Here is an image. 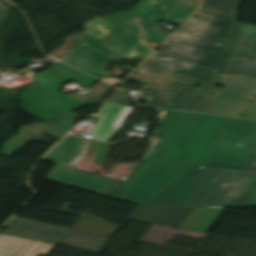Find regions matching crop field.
I'll use <instances>...</instances> for the list:
<instances>
[{
	"label": "crop field",
	"instance_id": "f4fd0767",
	"mask_svg": "<svg viewBox=\"0 0 256 256\" xmlns=\"http://www.w3.org/2000/svg\"><path fill=\"white\" fill-rule=\"evenodd\" d=\"M256 189V171L207 167L185 205L246 206Z\"/></svg>",
	"mask_w": 256,
	"mask_h": 256
},
{
	"label": "crop field",
	"instance_id": "00972430",
	"mask_svg": "<svg viewBox=\"0 0 256 256\" xmlns=\"http://www.w3.org/2000/svg\"><path fill=\"white\" fill-rule=\"evenodd\" d=\"M45 125L46 122L24 125L21 127L19 135L40 140L44 132Z\"/></svg>",
	"mask_w": 256,
	"mask_h": 256
},
{
	"label": "crop field",
	"instance_id": "733c2abd",
	"mask_svg": "<svg viewBox=\"0 0 256 256\" xmlns=\"http://www.w3.org/2000/svg\"><path fill=\"white\" fill-rule=\"evenodd\" d=\"M226 207H196L181 229L208 233Z\"/></svg>",
	"mask_w": 256,
	"mask_h": 256
},
{
	"label": "crop field",
	"instance_id": "412701ff",
	"mask_svg": "<svg viewBox=\"0 0 256 256\" xmlns=\"http://www.w3.org/2000/svg\"><path fill=\"white\" fill-rule=\"evenodd\" d=\"M35 78L37 81L31 83V87L21 92L20 99L23 100V110L42 120L85 105L62 94L59 89L63 83L72 80L85 88H89L98 81L62 63H54L52 69L36 74Z\"/></svg>",
	"mask_w": 256,
	"mask_h": 256
},
{
	"label": "crop field",
	"instance_id": "28ad6ade",
	"mask_svg": "<svg viewBox=\"0 0 256 256\" xmlns=\"http://www.w3.org/2000/svg\"><path fill=\"white\" fill-rule=\"evenodd\" d=\"M194 208L138 206L128 219L179 228Z\"/></svg>",
	"mask_w": 256,
	"mask_h": 256
},
{
	"label": "crop field",
	"instance_id": "bd1437ed",
	"mask_svg": "<svg viewBox=\"0 0 256 256\" xmlns=\"http://www.w3.org/2000/svg\"><path fill=\"white\" fill-rule=\"evenodd\" d=\"M184 1L196 4V5H199V2H200V0H184Z\"/></svg>",
	"mask_w": 256,
	"mask_h": 256
},
{
	"label": "crop field",
	"instance_id": "dafd665d",
	"mask_svg": "<svg viewBox=\"0 0 256 256\" xmlns=\"http://www.w3.org/2000/svg\"><path fill=\"white\" fill-rule=\"evenodd\" d=\"M85 27H86V32L101 39V38L105 37V35L108 34L116 26L97 17V18L85 23Z\"/></svg>",
	"mask_w": 256,
	"mask_h": 256
},
{
	"label": "crop field",
	"instance_id": "ac0d7876",
	"mask_svg": "<svg viewBox=\"0 0 256 256\" xmlns=\"http://www.w3.org/2000/svg\"><path fill=\"white\" fill-rule=\"evenodd\" d=\"M197 8L177 0H142L129 13L121 12L104 20L116 25L105 38L99 40L84 32L76 40L83 44L59 59L99 79L112 74L103 69L105 62L124 53L140 38L161 43L171 33L151 27L156 20L181 24Z\"/></svg>",
	"mask_w": 256,
	"mask_h": 256
},
{
	"label": "crop field",
	"instance_id": "750c4746",
	"mask_svg": "<svg viewBox=\"0 0 256 256\" xmlns=\"http://www.w3.org/2000/svg\"><path fill=\"white\" fill-rule=\"evenodd\" d=\"M247 206H256V191L253 194L252 198L248 202Z\"/></svg>",
	"mask_w": 256,
	"mask_h": 256
},
{
	"label": "crop field",
	"instance_id": "22f410ed",
	"mask_svg": "<svg viewBox=\"0 0 256 256\" xmlns=\"http://www.w3.org/2000/svg\"><path fill=\"white\" fill-rule=\"evenodd\" d=\"M127 106L104 101L96 117L101 118L92 131L93 139L109 142L117 131V123L126 111Z\"/></svg>",
	"mask_w": 256,
	"mask_h": 256
},
{
	"label": "crop field",
	"instance_id": "730fd06b",
	"mask_svg": "<svg viewBox=\"0 0 256 256\" xmlns=\"http://www.w3.org/2000/svg\"><path fill=\"white\" fill-rule=\"evenodd\" d=\"M126 93L120 91V90H115L108 98L107 100L123 103L130 105L132 101L128 100L130 96L125 95Z\"/></svg>",
	"mask_w": 256,
	"mask_h": 256
},
{
	"label": "crop field",
	"instance_id": "bc2a9ffb",
	"mask_svg": "<svg viewBox=\"0 0 256 256\" xmlns=\"http://www.w3.org/2000/svg\"><path fill=\"white\" fill-rule=\"evenodd\" d=\"M76 116L78 114L70 111L66 114L48 119L45 131L61 139L73 127Z\"/></svg>",
	"mask_w": 256,
	"mask_h": 256
},
{
	"label": "crop field",
	"instance_id": "8a807250",
	"mask_svg": "<svg viewBox=\"0 0 256 256\" xmlns=\"http://www.w3.org/2000/svg\"><path fill=\"white\" fill-rule=\"evenodd\" d=\"M163 135L151 160L244 168L256 121L169 111Z\"/></svg>",
	"mask_w": 256,
	"mask_h": 256
},
{
	"label": "crop field",
	"instance_id": "ae1a2a85",
	"mask_svg": "<svg viewBox=\"0 0 256 256\" xmlns=\"http://www.w3.org/2000/svg\"><path fill=\"white\" fill-rule=\"evenodd\" d=\"M243 117L256 118V96L242 114Z\"/></svg>",
	"mask_w": 256,
	"mask_h": 256
},
{
	"label": "crop field",
	"instance_id": "a9b5d70f",
	"mask_svg": "<svg viewBox=\"0 0 256 256\" xmlns=\"http://www.w3.org/2000/svg\"><path fill=\"white\" fill-rule=\"evenodd\" d=\"M113 146L92 141L88 150L99 152L96 159L104 165Z\"/></svg>",
	"mask_w": 256,
	"mask_h": 256
},
{
	"label": "crop field",
	"instance_id": "214f88e0",
	"mask_svg": "<svg viewBox=\"0 0 256 256\" xmlns=\"http://www.w3.org/2000/svg\"><path fill=\"white\" fill-rule=\"evenodd\" d=\"M240 2L241 0H204L201 8L224 15L237 17V8Z\"/></svg>",
	"mask_w": 256,
	"mask_h": 256
},
{
	"label": "crop field",
	"instance_id": "d8731c3e",
	"mask_svg": "<svg viewBox=\"0 0 256 256\" xmlns=\"http://www.w3.org/2000/svg\"><path fill=\"white\" fill-rule=\"evenodd\" d=\"M218 85L224 86L206 110L208 113L238 116L256 91V78L222 73Z\"/></svg>",
	"mask_w": 256,
	"mask_h": 256
},
{
	"label": "crop field",
	"instance_id": "eef30255",
	"mask_svg": "<svg viewBox=\"0 0 256 256\" xmlns=\"http://www.w3.org/2000/svg\"><path fill=\"white\" fill-rule=\"evenodd\" d=\"M114 88L104 84V83H99L95 87L91 88L90 90L95 91L103 96H106L109 92H111Z\"/></svg>",
	"mask_w": 256,
	"mask_h": 256
},
{
	"label": "crop field",
	"instance_id": "4177f3b9",
	"mask_svg": "<svg viewBox=\"0 0 256 256\" xmlns=\"http://www.w3.org/2000/svg\"><path fill=\"white\" fill-rule=\"evenodd\" d=\"M70 96L88 104V103H91V102H95V103H99L100 101L103 100V97L94 93V92H89L83 96L79 95L78 93L74 92L72 94H69ZM75 95V96H73Z\"/></svg>",
	"mask_w": 256,
	"mask_h": 256
},
{
	"label": "crop field",
	"instance_id": "d3111659",
	"mask_svg": "<svg viewBox=\"0 0 256 256\" xmlns=\"http://www.w3.org/2000/svg\"><path fill=\"white\" fill-rule=\"evenodd\" d=\"M245 168L256 169V146L253 147Z\"/></svg>",
	"mask_w": 256,
	"mask_h": 256
},
{
	"label": "crop field",
	"instance_id": "dd49c442",
	"mask_svg": "<svg viewBox=\"0 0 256 256\" xmlns=\"http://www.w3.org/2000/svg\"><path fill=\"white\" fill-rule=\"evenodd\" d=\"M193 167L145 161L129 180L107 197L148 205Z\"/></svg>",
	"mask_w": 256,
	"mask_h": 256
},
{
	"label": "crop field",
	"instance_id": "92a150f3",
	"mask_svg": "<svg viewBox=\"0 0 256 256\" xmlns=\"http://www.w3.org/2000/svg\"><path fill=\"white\" fill-rule=\"evenodd\" d=\"M148 42L150 41L139 40L123 55L117 58L145 59L155 49V47L147 45Z\"/></svg>",
	"mask_w": 256,
	"mask_h": 256
},
{
	"label": "crop field",
	"instance_id": "34b2d1b8",
	"mask_svg": "<svg viewBox=\"0 0 256 256\" xmlns=\"http://www.w3.org/2000/svg\"><path fill=\"white\" fill-rule=\"evenodd\" d=\"M195 15L200 17H192L149 59L182 60L219 71L236 32L237 18L202 9Z\"/></svg>",
	"mask_w": 256,
	"mask_h": 256
},
{
	"label": "crop field",
	"instance_id": "d9b57169",
	"mask_svg": "<svg viewBox=\"0 0 256 256\" xmlns=\"http://www.w3.org/2000/svg\"><path fill=\"white\" fill-rule=\"evenodd\" d=\"M219 91L214 85L184 91L173 108L205 112Z\"/></svg>",
	"mask_w": 256,
	"mask_h": 256
},
{
	"label": "crop field",
	"instance_id": "3316defc",
	"mask_svg": "<svg viewBox=\"0 0 256 256\" xmlns=\"http://www.w3.org/2000/svg\"><path fill=\"white\" fill-rule=\"evenodd\" d=\"M239 33L223 72L256 76V25L238 23Z\"/></svg>",
	"mask_w": 256,
	"mask_h": 256
},
{
	"label": "crop field",
	"instance_id": "5a996713",
	"mask_svg": "<svg viewBox=\"0 0 256 256\" xmlns=\"http://www.w3.org/2000/svg\"><path fill=\"white\" fill-rule=\"evenodd\" d=\"M127 79L150 87L152 102L145 106L170 108L183 89L197 86L203 80L171 72L168 76L132 74Z\"/></svg>",
	"mask_w": 256,
	"mask_h": 256
},
{
	"label": "crop field",
	"instance_id": "d1516ede",
	"mask_svg": "<svg viewBox=\"0 0 256 256\" xmlns=\"http://www.w3.org/2000/svg\"><path fill=\"white\" fill-rule=\"evenodd\" d=\"M139 69H142L143 74L168 75L171 71L181 73L205 80L202 86L214 83L219 73L218 71L182 61L168 62L146 60Z\"/></svg>",
	"mask_w": 256,
	"mask_h": 256
},
{
	"label": "crop field",
	"instance_id": "e52e79f7",
	"mask_svg": "<svg viewBox=\"0 0 256 256\" xmlns=\"http://www.w3.org/2000/svg\"><path fill=\"white\" fill-rule=\"evenodd\" d=\"M83 141L81 138L69 135L59 143L44 159L59 162L46 180L70 185L83 190L99 194L116 179L102 177L76 171L69 165L82 152Z\"/></svg>",
	"mask_w": 256,
	"mask_h": 256
},
{
	"label": "crop field",
	"instance_id": "5142ce71",
	"mask_svg": "<svg viewBox=\"0 0 256 256\" xmlns=\"http://www.w3.org/2000/svg\"><path fill=\"white\" fill-rule=\"evenodd\" d=\"M197 166L151 205H184L203 169ZM207 168V167H206ZM204 173V172H203Z\"/></svg>",
	"mask_w": 256,
	"mask_h": 256
},
{
	"label": "crop field",
	"instance_id": "cbeb9de0",
	"mask_svg": "<svg viewBox=\"0 0 256 256\" xmlns=\"http://www.w3.org/2000/svg\"><path fill=\"white\" fill-rule=\"evenodd\" d=\"M54 246L0 233V256L46 255Z\"/></svg>",
	"mask_w": 256,
	"mask_h": 256
},
{
	"label": "crop field",
	"instance_id": "4a817a6b",
	"mask_svg": "<svg viewBox=\"0 0 256 256\" xmlns=\"http://www.w3.org/2000/svg\"><path fill=\"white\" fill-rule=\"evenodd\" d=\"M5 226L62 239L70 230L12 218Z\"/></svg>",
	"mask_w": 256,
	"mask_h": 256
}]
</instances>
